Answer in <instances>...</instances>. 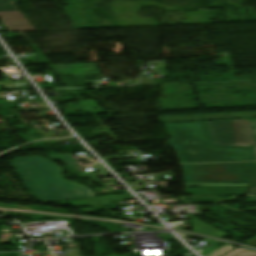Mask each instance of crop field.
I'll return each mask as SVG.
<instances>
[{
  "mask_svg": "<svg viewBox=\"0 0 256 256\" xmlns=\"http://www.w3.org/2000/svg\"><path fill=\"white\" fill-rule=\"evenodd\" d=\"M249 194L256 195V187H251Z\"/></svg>",
  "mask_w": 256,
  "mask_h": 256,
  "instance_id": "5142ce71",
  "label": "crop field"
},
{
  "mask_svg": "<svg viewBox=\"0 0 256 256\" xmlns=\"http://www.w3.org/2000/svg\"><path fill=\"white\" fill-rule=\"evenodd\" d=\"M212 146H250L256 151V120L205 122Z\"/></svg>",
  "mask_w": 256,
  "mask_h": 256,
  "instance_id": "412701ff",
  "label": "crop field"
},
{
  "mask_svg": "<svg viewBox=\"0 0 256 256\" xmlns=\"http://www.w3.org/2000/svg\"><path fill=\"white\" fill-rule=\"evenodd\" d=\"M185 185H195L203 187H239L248 186V184H217V183H185Z\"/></svg>",
  "mask_w": 256,
  "mask_h": 256,
  "instance_id": "5a996713",
  "label": "crop field"
},
{
  "mask_svg": "<svg viewBox=\"0 0 256 256\" xmlns=\"http://www.w3.org/2000/svg\"><path fill=\"white\" fill-rule=\"evenodd\" d=\"M5 11H18L13 4L0 6V12Z\"/></svg>",
  "mask_w": 256,
  "mask_h": 256,
  "instance_id": "d1516ede",
  "label": "crop field"
},
{
  "mask_svg": "<svg viewBox=\"0 0 256 256\" xmlns=\"http://www.w3.org/2000/svg\"><path fill=\"white\" fill-rule=\"evenodd\" d=\"M61 74L99 73L96 64L54 65Z\"/></svg>",
  "mask_w": 256,
  "mask_h": 256,
  "instance_id": "dd49c442",
  "label": "crop field"
},
{
  "mask_svg": "<svg viewBox=\"0 0 256 256\" xmlns=\"http://www.w3.org/2000/svg\"><path fill=\"white\" fill-rule=\"evenodd\" d=\"M161 122H181V121H195L202 120L200 115H190V116H168V117H158Z\"/></svg>",
  "mask_w": 256,
  "mask_h": 256,
  "instance_id": "d8731c3e",
  "label": "crop field"
},
{
  "mask_svg": "<svg viewBox=\"0 0 256 256\" xmlns=\"http://www.w3.org/2000/svg\"><path fill=\"white\" fill-rule=\"evenodd\" d=\"M48 158L61 160L67 167L76 165L69 154L52 155ZM10 164L38 202L52 203L94 197L89 188L65 180L60 174L63 170L42 157L17 158Z\"/></svg>",
  "mask_w": 256,
  "mask_h": 256,
  "instance_id": "8a807250",
  "label": "crop field"
},
{
  "mask_svg": "<svg viewBox=\"0 0 256 256\" xmlns=\"http://www.w3.org/2000/svg\"><path fill=\"white\" fill-rule=\"evenodd\" d=\"M109 256H125V255H109Z\"/></svg>",
  "mask_w": 256,
  "mask_h": 256,
  "instance_id": "bc2a9ffb",
  "label": "crop field"
},
{
  "mask_svg": "<svg viewBox=\"0 0 256 256\" xmlns=\"http://www.w3.org/2000/svg\"><path fill=\"white\" fill-rule=\"evenodd\" d=\"M164 125L182 163L254 161L251 148H210L202 122Z\"/></svg>",
  "mask_w": 256,
  "mask_h": 256,
  "instance_id": "ac0d7876",
  "label": "crop field"
},
{
  "mask_svg": "<svg viewBox=\"0 0 256 256\" xmlns=\"http://www.w3.org/2000/svg\"><path fill=\"white\" fill-rule=\"evenodd\" d=\"M11 2L10 0H0V4H3V3H9Z\"/></svg>",
  "mask_w": 256,
  "mask_h": 256,
  "instance_id": "4a817a6b",
  "label": "crop field"
},
{
  "mask_svg": "<svg viewBox=\"0 0 256 256\" xmlns=\"http://www.w3.org/2000/svg\"><path fill=\"white\" fill-rule=\"evenodd\" d=\"M251 186H256V173H255V176H254V179H253V182H252Z\"/></svg>",
  "mask_w": 256,
  "mask_h": 256,
  "instance_id": "733c2abd",
  "label": "crop field"
},
{
  "mask_svg": "<svg viewBox=\"0 0 256 256\" xmlns=\"http://www.w3.org/2000/svg\"><path fill=\"white\" fill-rule=\"evenodd\" d=\"M72 173H73V174H76V173H78L77 177H83V176H85L83 173H81V172H78L77 170H75V171H72Z\"/></svg>",
  "mask_w": 256,
  "mask_h": 256,
  "instance_id": "d9b57169",
  "label": "crop field"
},
{
  "mask_svg": "<svg viewBox=\"0 0 256 256\" xmlns=\"http://www.w3.org/2000/svg\"><path fill=\"white\" fill-rule=\"evenodd\" d=\"M95 170L102 176H110V174L100 164L96 165Z\"/></svg>",
  "mask_w": 256,
  "mask_h": 256,
  "instance_id": "22f410ed",
  "label": "crop field"
},
{
  "mask_svg": "<svg viewBox=\"0 0 256 256\" xmlns=\"http://www.w3.org/2000/svg\"><path fill=\"white\" fill-rule=\"evenodd\" d=\"M224 256H256L255 251H250L242 248H238Z\"/></svg>",
  "mask_w": 256,
  "mask_h": 256,
  "instance_id": "3316defc",
  "label": "crop field"
},
{
  "mask_svg": "<svg viewBox=\"0 0 256 256\" xmlns=\"http://www.w3.org/2000/svg\"><path fill=\"white\" fill-rule=\"evenodd\" d=\"M13 2H16V1H18V0H12Z\"/></svg>",
  "mask_w": 256,
  "mask_h": 256,
  "instance_id": "214f88e0",
  "label": "crop field"
},
{
  "mask_svg": "<svg viewBox=\"0 0 256 256\" xmlns=\"http://www.w3.org/2000/svg\"><path fill=\"white\" fill-rule=\"evenodd\" d=\"M252 202H256V199H255V201H252Z\"/></svg>",
  "mask_w": 256,
  "mask_h": 256,
  "instance_id": "92a150f3",
  "label": "crop field"
},
{
  "mask_svg": "<svg viewBox=\"0 0 256 256\" xmlns=\"http://www.w3.org/2000/svg\"><path fill=\"white\" fill-rule=\"evenodd\" d=\"M232 249H234L233 246L231 244H229V245H227V246H225V247H223V248H221V249H219V250H217V251H215V252H213V253H211L207 256H220V255H222V254H224V253H226V252H228Z\"/></svg>",
  "mask_w": 256,
  "mask_h": 256,
  "instance_id": "28ad6ade",
  "label": "crop field"
},
{
  "mask_svg": "<svg viewBox=\"0 0 256 256\" xmlns=\"http://www.w3.org/2000/svg\"><path fill=\"white\" fill-rule=\"evenodd\" d=\"M205 120L210 119H222V118H244V117H256V112L252 113H229V114H211L203 115Z\"/></svg>",
  "mask_w": 256,
  "mask_h": 256,
  "instance_id": "e52e79f7",
  "label": "crop field"
},
{
  "mask_svg": "<svg viewBox=\"0 0 256 256\" xmlns=\"http://www.w3.org/2000/svg\"><path fill=\"white\" fill-rule=\"evenodd\" d=\"M0 19L10 32L36 31L20 12L0 13Z\"/></svg>",
  "mask_w": 256,
  "mask_h": 256,
  "instance_id": "f4fd0767",
  "label": "crop field"
},
{
  "mask_svg": "<svg viewBox=\"0 0 256 256\" xmlns=\"http://www.w3.org/2000/svg\"><path fill=\"white\" fill-rule=\"evenodd\" d=\"M185 182L248 183L254 163L182 165Z\"/></svg>",
  "mask_w": 256,
  "mask_h": 256,
  "instance_id": "34b2d1b8",
  "label": "crop field"
},
{
  "mask_svg": "<svg viewBox=\"0 0 256 256\" xmlns=\"http://www.w3.org/2000/svg\"><path fill=\"white\" fill-rule=\"evenodd\" d=\"M245 244H249L256 247V236L247 241Z\"/></svg>",
  "mask_w": 256,
  "mask_h": 256,
  "instance_id": "cbeb9de0",
  "label": "crop field"
}]
</instances>
